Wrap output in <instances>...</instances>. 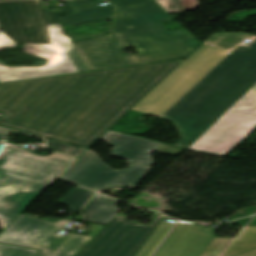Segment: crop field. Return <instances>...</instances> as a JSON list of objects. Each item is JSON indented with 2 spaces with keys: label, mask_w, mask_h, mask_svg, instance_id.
Returning a JSON list of instances; mask_svg holds the SVG:
<instances>
[{
  "label": "crop field",
  "mask_w": 256,
  "mask_h": 256,
  "mask_svg": "<svg viewBox=\"0 0 256 256\" xmlns=\"http://www.w3.org/2000/svg\"><path fill=\"white\" fill-rule=\"evenodd\" d=\"M181 62L0 84V126L88 148Z\"/></svg>",
  "instance_id": "obj_1"
},
{
  "label": "crop field",
  "mask_w": 256,
  "mask_h": 256,
  "mask_svg": "<svg viewBox=\"0 0 256 256\" xmlns=\"http://www.w3.org/2000/svg\"><path fill=\"white\" fill-rule=\"evenodd\" d=\"M245 37L214 34L132 110L174 122L186 148L256 82V39L240 45Z\"/></svg>",
  "instance_id": "obj_2"
},
{
  "label": "crop field",
  "mask_w": 256,
  "mask_h": 256,
  "mask_svg": "<svg viewBox=\"0 0 256 256\" xmlns=\"http://www.w3.org/2000/svg\"><path fill=\"white\" fill-rule=\"evenodd\" d=\"M109 2L118 7L114 29L118 43L121 48L134 46L138 52L124 54L129 65L187 57L199 46L183 29L166 32L161 21L173 18L153 0Z\"/></svg>",
  "instance_id": "obj_3"
},
{
  "label": "crop field",
  "mask_w": 256,
  "mask_h": 256,
  "mask_svg": "<svg viewBox=\"0 0 256 256\" xmlns=\"http://www.w3.org/2000/svg\"><path fill=\"white\" fill-rule=\"evenodd\" d=\"M101 139L113 147L111 155L130 160L126 169L110 168L95 152L88 150L61 178L95 190L114 185L134 188L153 165L152 151L176 156L184 150L112 131Z\"/></svg>",
  "instance_id": "obj_4"
},
{
  "label": "crop field",
  "mask_w": 256,
  "mask_h": 256,
  "mask_svg": "<svg viewBox=\"0 0 256 256\" xmlns=\"http://www.w3.org/2000/svg\"><path fill=\"white\" fill-rule=\"evenodd\" d=\"M72 161L71 157L53 153L35 155L8 146L0 159V227L3 230Z\"/></svg>",
  "instance_id": "obj_5"
},
{
  "label": "crop field",
  "mask_w": 256,
  "mask_h": 256,
  "mask_svg": "<svg viewBox=\"0 0 256 256\" xmlns=\"http://www.w3.org/2000/svg\"><path fill=\"white\" fill-rule=\"evenodd\" d=\"M65 6L41 7L39 0L0 3V29L13 44H53L44 24H60L59 16L74 13Z\"/></svg>",
  "instance_id": "obj_6"
},
{
  "label": "crop field",
  "mask_w": 256,
  "mask_h": 256,
  "mask_svg": "<svg viewBox=\"0 0 256 256\" xmlns=\"http://www.w3.org/2000/svg\"><path fill=\"white\" fill-rule=\"evenodd\" d=\"M256 129V84L188 148L223 156Z\"/></svg>",
  "instance_id": "obj_7"
},
{
  "label": "crop field",
  "mask_w": 256,
  "mask_h": 256,
  "mask_svg": "<svg viewBox=\"0 0 256 256\" xmlns=\"http://www.w3.org/2000/svg\"><path fill=\"white\" fill-rule=\"evenodd\" d=\"M164 216L155 213L151 223L113 218L75 256H134Z\"/></svg>",
  "instance_id": "obj_8"
},
{
  "label": "crop field",
  "mask_w": 256,
  "mask_h": 256,
  "mask_svg": "<svg viewBox=\"0 0 256 256\" xmlns=\"http://www.w3.org/2000/svg\"><path fill=\"white\" fill-rule=\"evenodd\" d=\"M54 45H26L25 51L48 59L43 67L8 68L0 65V82L30 79L75 72L60 45L71 44L68 37L63 36L60 25H45ZM10 39H4L0 32V50L15 47Z\"/></svg>",
  "instance_id": "obj_9"
},
{
  "label": "crop field",
  "mask_w": 256,
  "mask_h": 256,
  "mask_svg": "<svg viewBox=\"0 0 256 256\" xmlns=\"http://www.w3.org/2000/svg\"><path fill=\"white\" fill-rule=\"evenodd\" d=\"M67 221L62 219L52 223L23 213L0 235V242L38 249L41 252L37 256H46L71 236L66 232L58 235Z\"/></svg>",
  "instance_id": "obj_10"
},
{
  "label": "crop field",
  "mask_w": 256,
  "mask_h": 256,
  "mask_svg": "<svg viewBox=\"0 0 256 256\" xmlns=\"http://www.w3.org/2000/svg\"><path fill=\"white\" fill-rule=\"evenodd\" d=\"M202 226L178 222L152 256H199L215 236Z\"/></svg>",
  "instance_id": "obj_11"
},
{
  "label": "crop field",
  "mask_w": 256,
  "mask_h": 256,
  "mask_svg": "<svg viewBox=\"0 0 256 256\" xmlns=\"http://www.w3.org/2000/svg\"><path fill=\"white\" fill-rule=\"evenodd\" d=\"M88 71L127 65L112 34L74 44Z\"/></svg>",
  "instance_id": "obj_12"
},
{
  "label": "crop field",
  "mask_w": 256,
  "mask_h": 256,
  "mask_svg": "<svg viewBox=\"0 0 256 256\" xmlns=\"http://www.w3.org/2000/svg\"><path fill=\"white\" fill-rule=\"evenodd\" d=\"M256 247V226H244L235 238H215L200 256H232Z\"/></svg>",
  "instance_id": "obj_13"
},
{
  "label": "crop field",
  "mask_w": 256,
  "mask_h": 256,
  "mask_svg": "<svg viewBox=\"0 0 256 256\" xmlns=\"http://www.w3.org/2000/svg\"><path fill=\"white\" fill-rule=\"evenodd\" d=\"M75 14L60 17L61 24L74 25L102 17L112 18L114 7H100L104 0H72L69 1Z\"/></svg>",
  "instance_id": "obj_14"
},
{
  "label": "crop field",
  "mask_w": 256,
  "mask_h": 256,
  "mask_svg": "<svg viewBox=\"0 0 256 256\" xmlns=\"http://www.w3.org/2000/svg\"><path fill=\"white\" fill-rule=\"evenodd\" d=\"M116 199L97 194L84 208L88 221L106 224L121 209L116 208Z\"/></svg>",
  "instance_id": "obj_15"
},
{
  "label": "crop field",
  "mask_w": 256,
  "mask_h": 256,
  "mask_svg": "<svg viewBox=\"0 0 256 256\" xmlns=\"http://www.w3.org/2000/svg\"><path fill=\"white\" fill-rule=\"evenodd\" d=\"M167 220L166 217L161 221L146 243L142 246L136 256H149L169 228L172 226L170 223H165Z\"/></svg>",
  "instance_id": "obj_16"
},
{
  "label": "crop field",
  "mask_w": 256,
  "mask_h": 256,
  "mask_svg": "<svg viewBox=\"0 0 256 256\" xmlns=\"http://www.w3.org/2000/svg\"><path fill=\"white\" fill-rule=\"evenodd\" d=\"M92 193L93 192L89 190L78 187L77 189L70 190L60 204L66 205L71 211L77 212L89 199Z\"/></svg>",
  "instance_id": "obj_17"
},
{
  "label": "crop field",
  "mask_w": 256,
  "mask_h": 256,
  "mask_svg": "<svg viewBox=\"0 0 256 256\" xmlns=\"http://www.w3.org/2000/svg\"><path fill=\"white\" fill-rule=\"evenodd\" d=\"M90 237L73 234V236L54 254L48 256H72Z\"/></svg>",
  "instance_id": "obj_18"
},
{
  "label": "crop field",
  "mask_w": 256,
  "mask_h": 256,
  "mask_svg": "<svg viewBox=\"0 0 256 256\" xmlns=\"http://www.w3.org/2000/svg\"><path fill=\"white\" fill-rule=\"evenodd\" d=\"M156 2L161 5L168 13L195 9L199 6L197 0H156Z\"/></svg>",
  "instance_id": "obj_19"
},
{
  "label": "crop field",
  "mask_w": 256,
  "mask_h": 256,
  "mask_svg": "<svg viewBox=\"0 0 256 256\" xmlns=\"http://www.w3.org/2000/svg\"><path fill=\"white\" fill-rule=\"evenodd\" d=\"M48 140V139H47ZM47 147L58 152L67 153L72 156L80 157L85 151V148H75L73 145L61 143L57 141L48 140Z\"/></svg>",
  "instance_id": "obj_20"
},
{
  "label": "crop field",
  "mask_w": 256,
  "mask_h": 256,
  "mask_svg": "<svg viewBox=\"0 0 256 256\" xmlns=\"http://www.w3.org/2000/svg\"><path fill=\"white\" fill-rule=\"evenodd\" d=\"M39 251L0 243V256H34Z\"/></svg>",
  "instance_id": "obj_21"
},
{
  "label": "crop field",
  "mask_w": 256,
  "mask_h": 256,
  "mask_svg": "<svg viewBox=\"0 0 256 256\" xmlns=\"http://www.w3.org/2000/svg\"><path fill=\"white\" fill-rule=\"evenodd\" d=\"M76 72L87 71L73 45L62 46Z\"/></svg>",
  "instance_id": "obj_22"
},
{
  "label": "crop field",
  "mask_w": 256,
  "mask_h": 256,
  "mask_svg": "<svg viewBox=\"0 0 256 256\" xmlns=\"http://www.w3.org/2000/svg\"><path fill=\"white\" fill-rule=\"evenodd\" d=\"M9 133H10V131H6V130H3V129H0V140L1 139H5L6 140Z\"/></svg>",
  "instance_id": "obj_23"
},
{
  "label": "crop field",
  "mask_w": 256,
  "mask_h": 256,
  "mask_svg": "<svg viewBox=\"0 0 256 256\" xmlns=\"http://www.w3.org/2000/svg\"><path fill=\"white\" fill-rule=\"evenodd\" d=\"M236 256H256V249L244 254L236 255Z\"/></svg>",
  "instance_id": "obj_24"
}]
</instances>
